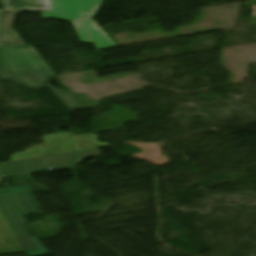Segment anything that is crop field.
<instances>
[{
    "instance_id": "obj_2",
    "label": "crop field",
    "mask_w": 256,
    "mask_h": 256,
    "mask_svg": "<svg viewBox=\"0 0 256 256\" xmlns=\"http://www.w3.org/2000/svg\"><path fill=\"white\" fill-rule=\"evenodd\" d=\"M0 209L28 256L52 255L37 237H30L23 224L27 214H43L29 185L0 190Z\"/></svg>"
},
{
    "instance_id": "obj_4",
    "label": "crop field",
    "mask_w": 256,
    "mask_h": 256,
    "mask_svg": "<svg viewBox=\"0 0 256 256\" xmlns=\"http://www.w3.org/2000/svg\"><path fill=\"white\" fill-rule=\"evenodd\" d=\"M98 148L57 155L45 158H39L28 161L14 162L0 165L2 176L21 174V173H32L38 171H45L49 168L52 170L79 166L84 160L89 158L98 157Z\"/></svg>"
},
{
    "instance_id": "obj_8",
    "label": "crop field",
    "mask_w": 256,
    "mask_h": 256,
    "mask_svg": "<svg viewBox=\"0 0 256 256\" xmlns=\"http://www.w3.org/2000/svg\"><path fill=\"white\" fill-rule=\"evenodd\" d=\"M0 45H26L16 31L0 33Z\"/></svg>"
},
{
    "instance_id": "obj_3",
    "label": "crop field",
    "mask_w": 256,
    "mask_h": 256,
    "mask_svg": "<svg viewBox=\"0 0 256 256\" xmlns=\"http://www.w3.org/2000/svg\"><path fill=\"white\" fill-rule=\"evenodd\" d=\"M103 0H51L52 11H43L45 17L60 19L82 18L98 50L116 47L90 19ZM82 41L92 43L81 20L73 22Z\"/></svg>"
},
{
    "instance_id": "obj_5",
    "label": "crop field",
    "mask_w": 256,
    "mask_h": 256,
    "mask_svg": "<svg viewBox=\"0 0 256 256\" xmlns=\"http://www.w3.org/2000/svg\"><path fill=\"white\" fill-rule=\"evenodd\" d=\"M44 140L45 145L34 146L24 153L16 154L12 156V160L73 151L70 133L48 135L44 137Z\"/></svg>"
},
{
    "instance_id": "obj_9",
    "label": "crop field",
    "mask_w": 256,
    "mask_h": 256,
    "mask_svg": "<svg viewBox=\"0 0 256 256\" xmlns=\"http://www.w3.org/2000/svg\"><path fill=\"white\" fill-rule=\"evenodd\" d=\"M17 11L2 12L0 32L12 30L13 17Z\"/></svg>"
},
{
    "instance_id": "obj_7",
    "label": "crop field",
    "mask_w": 256,
    "mask_h": 256,
    "mask_svg": "<svg viewBox=\"0 0 256 256\" xmlns=\"http://www.w3.org/2000/svg\"><path fill=\"white\" fill-rule=\"evenodd\" d=\"M72 139L74 152L96 147L109 146L107 143H99L96 140V134L72 136Z\"/></svg>"
},
{
    "instance_id": "obj_1",
    "label": "crop field",
    "mask_w": 256,
    "mask_h": 256,
    "mask_svg": "<svg viewBox=\"0 0 256 256\" xmlns=\"http://www.w3.org/2000/svg\"><path fill=\"white\" fill-rule=\"evenodd\" d=\"M1 79L37 91L48 87L69 111L80 109L72 96L48 83L54 77L33 46H0Z\"/></svg>"
},
{
    "instance_id": "obj_6",
    "label": "crop field",
    "mask_w": 256,
    "mask_h": 256,
    "mask_svg": "<svg viewBox=\"0 0 256 256\" xmlns=\"http://www.w3.org/2000/svg\"><path fill=\"white\" fill-rule=\"evenodd\" d=\"M2 10H51L50 0H4Z\"/></svg>"
}]
</instances>
